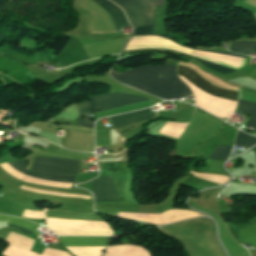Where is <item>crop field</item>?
<instances>
[{
  "label": "crop field",
  "instance_id": "8a807250",
  "mask_svg": "<svg viewBox=\"0 0 256 256\" xmlns=\"http://www.w3.org/2000/svg\"><path fill=\"white\" fill-rule=\"evenodd\" d=\"M177 65L143 66L122 74L111 72L118 81L164 99H178L191 95L187 86L177 76ZM158 74H162L159 78Z\"/></svg>",
  "mask_w": 256,
  "mask_h": 256
},
{
  "label": "crop field",
  "instance_id": "ac0d7876",
  "mask_svg": "<svg viewBox=\"0 0 256 256\" xmlns=\"http://www.w3.org/2000/svg\"><path fill=\"white\" fill-rule=\"evenodd\" d=\"M124 9L132 26L152 23L155 6H162L164 0H111Z\"/></svg>",
  "mask_w": 256,
  "mask_h": 256
},
{
  "label": "crop field",
  "instance_id": "34b2d1b8",
  "mask_svg": "<svg viewBox=\"0 0 256 256\" xmlns=\"http://www.w3.org/2000/svg\"><path fill=\"white\" fill-rule=\"evenodd\" d=\"M149 100L146 97L122 93L96 95L90 97V105L93 112L98 110H110Z\"/></svg>",
  "mask_w": 256,
  "mask_h": 256
},
{
  "label": "crop field",
  "instance_id": "412701ff",
  "mask_svg": "<svg viewBox=\"0 0 256 256\" xmlns=\"http://www.w3.org/2000/svg\"><path fill=\"white\" fill-rule=\"evenodd\" d=\"M31 170L58 175H77L80 171V162L64 159L36 158Z\"/></svg>",
  "mask_w": 256,
  "mask_h": 256
},
{
  "label": "crop field",
  "instance_id": "f4fd0767",
  "mask_svg": "<svg viewBox=\"0 0 256 256\" xmlns=\"http://www.w3.org/2000/svg\"><path fill=\"white\" fill-rule=\"evenodd\" d=\"M178 74L183 76L192 85H194L195 87H197L198 89H200L201 91H203L207 94H210L212 96L219 97L222 99L237 101L238 92L219 89V88L209 84L204 79H202L200 76H198L195 72H193L192 70H190L186 67L179 66Z\"/></svg>",
  "mask_w": 256,
  "mask_h": 256
},
{
  "label": "crop field",
  "instance_id": "dd49c442",
  "mask_svg": "<svg viewBox=\"0 0 256 256\" xmlns=\"http://www.w3.org/2000/svg\"><path fill=\"white\" fill-rule=\"evenodd\" d=\"M96 201L118 200L111 177L93 180Z\"/></svg>",
  "mask_w": 256,
  "mask_h": 256
},
{
  "label": "crop field",
  "instance_id": "e52e79f7",
  "mask_svg": "<svg viewBox=\"0 0 256 256\" xmlns=\"http://www.w3.org/2000/svg\"><path fill=\"white\" fill-rule=\"evenodd\" d=\"M155 114L156 111L152 112L151 108H149L129 114L112 117L110 118V120L114 128L117 129L128 124L136 123L145 119L155 117Z\"/></svg>",
  "mask_w": 256,
  "mask_h": 256
},
{
  "label": "crop field",
  "instance_id": "d8731c3e",
  "mask_svg": "<svg viewBox=\"0 0 256 256\" xmlns=\"http://www.w3.org/2000/svg\"><path fill=\"white\" fill-rule=\"evenodd\" d=\"M65 246H107L112 238L107 237H60Z\"/></svg>",
  "mask_w": 256,
  "mask_h": 256
},
{
  "label": "crop field",
  "instance_id": "5a996713",
  "mask_svg": "<svg viewBox=\"0 0 256 256\" xmlns=\"http://www.w3.org/2000/svg\"><path fill=\"white\" fill-rule=\"evenodd\" d=\"M9 164L13 168L17 169L18 171H20L26 175L33 176V177L70 181V182H73L75 179V176H57V175H48V174L34 173L31 171H28V166H27L26 162H24V161L14 162V163H9Z\"/></svg>",
  "mask_w": 256,
  "mask_h": 256
},
{
  "label": "crop field",
  "instance_id": "3316defc",
  "mask_svg": "<svg viewBox=\"0 0 256 256\" xmlns=\"http://www.w3.org/2000/svg\"><path fill=\"white\" fill-rule=\"evenodd\" d=\"M79 6L82 7L85 10H88L91 12L92 17L89 25V29L91 33H105V32H111L108 25L102 18L100 14H98L96 11L92 10L88 6L84 5L83 3H79Z\"/></svg>",
  "mask_w": 256,
  "mask_h": 256
},
{
  "label": "crop field",
  "instance_id": "28ad6ade",
  "mask_svg": "<svg viewBox=\"0 0 256 256\" xmlns=\"http://www.w3.org/2000/svg\"><path fill=\"white\" fill-rule=\"evenodd\" d=\"M0 221H8L9 223L11 224H14V225H17V226H20L22 228H25V229H28L36 234H39L36 229L39 227L37 226L36 224L34 223H31V222H28L26 220H23V219H19V218H13V217H9V216H2L0 215ZM11 224H8V226L10 227H15L17 229H19L23 234H34L28 230H25V229H22L20 227H17V226H14V225H11Z\"/></svg>",
  "mask_w": 256,
  "mask_h": 256
},
{
  "label": "crop field",
  "instance_id": "d1516ede",
  "mask_svg": "<svg viewBox=\"0 0 256 256\" xmlns=\"http://www.w3.org/2000/svg\"><path fill=\"white\" fill-rule=\"evenodd\" d=\"M240 111L252 115L247 127H253L256 129V103L239 100Z\"/></svg>",
  "mask_w": 256,
  "mask_h": 256
},
{
  "label": "crop field",
  "instance_id": "22f410ed",
  "mask_svg": "<svg viewBox=\"0 0 256 256\" xmlns=\"http://www.w3.org/2000/svg\"><path fill=\"white\" fill-rule=\"evenodd\" d=\"M231 50L235 52L249 54L251 52L256 53V42L252 41H240L232 42Z\"/></svg>",
  "mask_w": 256,
  "mask_h": 256
},
{
  "label": "crop field",
  "instance_id": "cbeb9de0",
  "mask_svg": "<svg viewBox=\"0 0 256 256\" xmlns=\"http://www.w3.org/2000/svg\"><path fill=\"white\" fill-rule=\"evenodd\" d=\"M244 242L256 245V223L238 230Z\"/></svg>",
  "mask_w": 256,
  "mask_h": 256
},
{
  "label": "crop field",
  "instance_id": "5142ce71",
  "mask_svg": "<svg viewBox=\"0 0 256 256\" xmlns=\"http://www.w3.org/2000/svg\"><path fill=\"white\" fill-rule=\"evenodd\" d=\"M200 51H202V50H200ZM207 52H214V51H207ZM214 53H222V54H229V55H236V56L246 57L244 55H239V54H234V53H225V52H214ZM195 59L199 60L204 66H206V67H208V68H210L212 70H216V71L222 72V73H230V72L235 71V70H232V69H229V68L217 65V64H213V63H210V62L198 59V58H195Z\"/></svg>",
  "mask_w": 256,
  "mask_h": 256
},
{
  "label": "crop field",
  "instance_id": "d9b57169",
  "mask_svg": "<svg viewBox=\"0 0 256 256\" xmlns=\"http://www.w3.org/2000/svg\"><path fill=\"white\" fill-rule=\"evenodd\" d=\"M58 235H105L112 236V231H53Z\"/></svg>",
  "mask_w": 256,
  "mask_h": 256
},
{
  "label": "crop field",
  "instance_id": "733c2abd",
  "mask_svg": "<svg viewBox=\"0 0 256 256\" xmlns=\"http://www.w3.org/2000/svg\"><path fill=\"white\" fill-rule=\"evenodd\" d=\"M256 143V137L249 136L239 130L235 145L250 147Z\"/></svg>",
  "mask_w": 256,
  "mask_h": 256
},
{
  "label": "crop field",
  "instance_id": "4a817a6b",
  "mask_svg": "<svg viewBox=\"0 0 256 256\" xmlns=\"http://www.w3.org/2000/svg\"><path fill=\"white\" fill-rule=\"evenodd\" d=\"M231 148L232 147L228 145H219L209 158L226 160L231 151Z\"/></svg>",
  "mask_w": 256,
  "mask_h": 256
},
{
  "label": "crop field",
  "instance_id": "bc2a9ffb",
  "mask_svg": "<svg viewBox=\"0 0 256 256\" xmlns=\"http://www.w3.org/2000/svg\"><path fill=\"white\" fill-rule=\"evenodd\" d=\"M143 35H152V25L149 26H141V27H137L136 29H134V34L133 36H143ZM156 36H170V35H156ZM172 39V38H171ZM173 41V40H172ZM128 44V43H127ZM126 44V46H127ZM125 46V47H126ZM183 46V45H182ZM185 47V46H184ZM188 48V47H187ZM195 50V49H194ZM132 51V50H129ZM177 52V51H176ZM180 53V52H178ZM183 54V53H181ZM185 55V54H183ZM188 58H192L191 56L185 55Z\"/></svg>",
  "mask_w": 256,
  "mask_h": 256
},
{
  "label": "crop field",
  "instance_id": "214f88e0",
  "mask_svg": "<svg viewBox=\"0 0 256 256\" xmlns=\"http://www.w3.org/2000/svg\"><path fill=\"white\" fill-rule=\"evenodd\" d=\"M77 109L79 111L80 115H93L92 110L89 106V102L82 103V104H76Z\"/></svg>",
  "mask_w": 256,
  "mask_h": 256
},
{
  "label": "crop field",
  "instance_id": "92a150f3",
  "mask_svg": "<svg viewBox=\"0 0 256 256\" xmlns=\"http://www.w3.org/2000/svg\"><path fill=\"white\" fill-rule=\"evenodd\" d=\"M78 125L84 126V127H87V128H93V126H94V124L92 122L85 121V120H80Z\"/></svg>",
  "mask_w": 256,
  "mask_h": 256
},
{
  "label": "crop field",
  "instance_id": "dafd665d",
  "mask_svg": "<svg viewBox=\"0 0 256 256\" xmlns=\"http://www.w3.org/2000/svg\"><path fill=\"white\" fill-rule=\"evenodd\" d=\"M247 76H249V77H252V78L256 79V68H255V69H253V70H251V71L248 73V75H247Z\"/></svg>",
  "mask_w": 256,
  "mask_h": 256
}]
</instances>
